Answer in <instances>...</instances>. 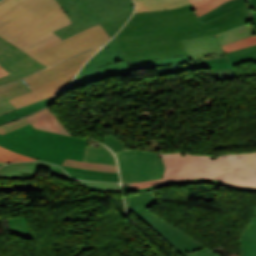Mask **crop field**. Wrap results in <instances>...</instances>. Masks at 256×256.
Segmentation results:
<instances>
[{
	"label": "crop field",
	"instance_id": "obj_1",
	"mask_svg": "<svg viewBox=\"0 0 256 256\" xmlns=\"http://www.w3.org/2000/svg\"><path fill=\"white\" fill-rule=\"evenodd\" d=\"M194 10L189 5L134 13L114 37L127 63L185 55L187 53L181 39L218 34L249 23L247 7L229 12L206 24L199 21Z\"/></svg>",
	"mask_w": 256,
	"mask_h": 256
},
{
	"label": "crop field",
	"instance_id": "obj_2",
	"mask_svg": "<svg viewBox=\"0 0 256 256\" xmlns=\"http://www.w3.org/2000/svg\"><path fill=\"white\" fill-rule=\"evenodd\" d=\"M167 166L162 179L131 183L132 188L188 178H211L235 185L256 187V152L217 156L190 155L186 152L158 154Z\"/></svg>",
	"mask_w": 256,
	"mask_h": 256
},
{
	"label": "crop field",
	"instance_id": "obj_3",
	"mask_svg": "<svg viewBox=\"0 0 256 256\" xmlns=\"http://www.w3.org/2000/svg\"><path fill=\"white\" fill-rule=\"evenodd\" d=\"M68 23L70 20L56 0L0 2V35L16 47Z\"/></svg>",
	"mask_w": 256,
	"mask_h": 256
},
{
	"label": "crop field",
	"instance_id": "obj_4",
	"mask_svg": "<svg viewBox=\"0 0 256 256\" xmlns=\"http://www.w3.org/2000/svg\"><path fill=\"white\" fill-rule=\"evenodd\" d=\"M86 140L34 128L31 124L0 134V145L18 153L61 165L66 157L83 160ZM64 169L88 174L118 176V173L82 170L61 165Z\"/></svg>",
	"mask_w": 256,
	"mask_h": 256
},
{
	"label": "crop field",
	"instance_id": "obj_5",
	"mask_svg": "<svg viewBox=\"0 0 256 256\" xmlns=\"http://www.w3.org/2000/svg\"><path fill=\"white\" fill-rule=\"evenodd\" d=\"M155 203L156 198L154 190L125 198L127 212L132 211L180 254L193 252L204 247L145 209Z\"/></svg>",
	"mask_w": 256,
	"mask_h": 256
},
{
	"label": "crop field",
	"instance_id": "obj_6",
	"mask_svg": "<svg viewBox=\"0 0 256 256\" xmlns=\"http://www.w3.org/2000/svg\"><path fill=\"white\" fill-rule=\"evenodd\" d=\"M109 39V36L98 24L32 56L49 67L86 50L100 47Z\"/></svg>",
	"mask_w": 256,
	"mask_h": 256
},
{
	"label": "crop field",
	"instance_id": "obj_7",
	"mask_svg": "<svg viewBox=\"0 0 256 256\" xmlns=\"http://www.w3.org/2000/svg\"><path fill=\"white\" fill-rule=\"evenodd\" d=\"M122 183L158 179L166 168L155 152L124 149L115 152Z\"/></svg>",
	"mask_w": 256,
	"mask_h": 256
},
{
	"label": "crop field",
	"instance_id": "obj_8",
	"mask_svg": "<svg viewBox=\"0 0 256 256\" xmlns=\"http://www.w3.org/2000/svg\"><path fill=\"white\" fill-rule=\"evenodd\" d=\"M255 34L256 31L250 24L217 36L187 40L183 41V43L191 58V62L194 63L207 59L226 57L221 45Z\"/></svg>",
	"mask_w": 256,
	"mask_h": 256
},
{
	"label": "crop field",
	"instance_id": "obj_9",
	"mask_svg": "<svg viewBox=\"0 0 256 256\" xmlns=\"http://www.w3.org/2000/svg\"><path fill=\"white\" fill-rule=\"evenodd\" d=\"M0 65L10 74L0 78V85L12 82L46 68L0 36Z\"/></svg>",
	"mask_w": 256,
	"mask_h": 256
},
{
	"label": "crop field",
	"instance_id": "obj_10",
	"mask_svg": "<svg viewBox=\"0 0 256 256\" xmlns=\"http://www.w3.org/2000/svg\"><path fill=\"white\" fill-rule=\"evenodd\" d=\"M196 69H210L214 81L238 78L234 67L227 58L202 61L194 64L156 68L157 76Z\"/></svg>",
	"mask_w": 256,
	"mask_h": 256
},
{
	"label": "crop field",
	"instance_id": "obj_11",
	"mask_svg": "<svg viewBox=\"0 0 256 256\" xmlns=\"http://www.w3.org/2000/svg\"><path fill=\"white\" fill-rule=\"evenodd\" d=\"M62 9L68 15L72 23L54 31L62 40L81 31L98 24V21L86 15L77 0H67L60 3Z\"/></svg>",
	"mask_w": 256,
	"mask_h": 256
},
{
	"label": "crop field",
	"instance_id": "obj_12",
	"mask_svg": "<svg viewBox=\"0 0 256 256\" xmlns=\"http://www.w3.org/2000/svg\"><path fill=\"white\" fill-rule=\"evenodd\" d=\"M86 14L102 22L130 7L132 0H78Z\"/></svg>",
	"mask_w": 256,
	"mask_h": 256
},
{
	"label": "crop field",
	"instance_id": "obj_13",
	"mask_svg": "<svg viewBox=\"0 0 256 256\" xmlns=\"http://www.w3.org/2000/svg\"><path fill=\"white\" fill-rule=\"evenodd\" d=\"M73 78V77H72ZM72 78L0 103V114L46 99L64 91Z\"/></svg>",
	"mask_w": 256,
	"mask_h": 256
},
{
	"label": "crop field",
	"instance_id": "obj_14",
	"mask_svg": "<svg viewBox=\"0 0 256 256\" xmlns=\"http://www.w3.org/2000/svg\"><path fill=\"white\" fill-rule=\"evenodd\" d=\"M83 64L27 87L21 80L0 87V102L76 75Z\"/></svg>",
	"mask_w": 256,
	"mask_h": 256
},
{
	"label": "crop field",
	"instance_id": "obj_15",
	"mask_svg": "<svg viewBox=\"0 0 256 256\" xmlns=\"http://www.w3.org/2000/svg\"><path fill=\"white\" fill-rule=\"evenodd\" d=\"M130 72L131 71L128 70V66L125 61L107 67L89 70L78 74L67 90L78 88L85 84L96 82L112 75H124Z\"/></svg>",
	"mask_w": 256,
	"mask_h": 256
},
{
	"label": "crop field",
	"instance_id": "obj_16",
	"mask_svg": "<svg viewBox=\"0 0 256 256\" xmlns=\"http://www.w3.org/2000/svg\"><path fill=\"white\" fill-rule=\"evenodd\" d=\"M38 166L50 169L52 170L51 171L52 173L60 177L73 180L59 166H56L50 163H45V162H25V163L8 164L0 169V178H20L22 172L35 174Z\"/></svg>",
	"mask_w": 256,
	"mask_h": 256
},
{
	"label": "crop field",
	"instance_id": "obj_17",
	"mask_svg": "<svg viewBox=\"0 0 256 256\" xmlns=\"http://www.w3.org/2000/svg\"><path fill=\"white\" fill-rule=\"evenodd\" d=\"M97 50L98 49L89 51V52L84 53L80 56H77V57L72 58L70 60L64 61V62L59 63L57 65H54V66H52L48 69H45V70H43L39 73H36V74L31 75L29 77H26V78L22 79V81L27 86H29L33 83H36V82L40 81V80H43L45 78H48L50 76H53L55 74H58L60 72L65 71V70H68V69H70L74 66H77V65L81 64V63H85ZM40 75H42V76H40Z\"/></svg>",
	"mask_w": 256,
	"mask_h": 256
},
{
	"label": "crop field",
	"instance_id": "obj_18",
	"mask_svg": "<svg viewBox=\"0 0 256 256\" xmlns=\"http://www.w3.org/2000/svg\"><path fill=\"white\" fill-rule=\"evenodd\" d=\"M27 119L36 128L72 136L69 131L63 126V124L58 120V118L48 108H45L42 111L27 116Z\"/></svg>",
	"mask_w": 256,
	"mask_h": 256
},
{
	"label": "crop field",
	"instance_id": "obj_19",
	"mask_svg": "<svg viewBox=\"0 0 256 256\" xmlns=\"http://www.w3.org/2000/svg\"><path fill=\"white\" fill-rule=\"evenodd\" d=\"M123 57L120 55L113 39L104 46L98 53H96L81 70L86 71L93 68H98L106 65H110L116 62L123 61ZM83 73V72H82ZM80 74V73H79Z\"/></svg>",
	"mask_w": 256,
	"mask_h": 256
},
{
	"label": "crop field",
	"instance_id": "obj_20",
	"mask_svg": "<svg viewBox=\"0 0 256 256\" xmlns=\"http://www.w3.org/2000/svg\"><path fill=\"white\" fill-rule=\"evenodd\" d=\"M61 94L53 96V97L48 98V99L43 100V101L36 102L34 104H31V105H28V106H25V107H22L20 109L13 110V111L8 112L6 114L0 115V124L8 122V121L13 120V119L25 117V116H27V115H29V114H31V113L39 110V109H42L46 106L54 104L60 98Z\"/></svg>",
	"mask_w": 256,
	"mask_h": 256
},
{
	"label": "crop field",
	"instance_id": "obj_21",
	"mask_svg": "<svg viewBox=\"0 0 256 256\" xmlns=\"http://www.w3.org/2000/svg\"><path fill=\"white\" fill-rule=\"evenodd\" d=\"M135 3V12L169 9L190 4L189 0H135Z\"/></svg>",
	"mask_w": 256,
	"mask_h": 256
},
{
	"label": "crop field",
	"instance_id": "obj_22",
	"mask_svg": "<svg viewBox=\"0 0 256 256\" xmlns=\"http://www.w3.org/2000/svg\"><path fill=\"white\" fill-rule=\"evenodd\" d=\"M200 182H209V183L221 185L223 187L234 189V190L256 192V188L240 187V186H235V185H231V184H227V183H223V182H219V181H215V180H211V179H188V180H181V181H173V182H167L164 184L148 187L146 189H131V186L129 184V186L123 187V191L138 190L140 192H144V191L155 189L160 186H165V185H170V184L181 185V184H186V183H200Z\"/></svg>",
	"mask_w": 256,
	"mask_h": 256
},
{
	"label": "crop field",
	"instance_id": "obj_23",
	"mask_svg": "<svg viewBox=\"0 0 256 256\" xmlns=\"http://www.w3.org/2000/svg\"><path fill=\"white\" fill-rule=\"evenodd\" d=\"M83 161L116 165L114 155L103 145L97 148L86 147Z\"/></svg>",
	"mask_w": 256,
	"mask_h": 256
},
{
	"label": "crop field",
	"instance_id": "obj_24",
	"mask_svg": "<svg viewBox=\"0 0 256 256\" xmlns=\"http://www.w3.org/2000/svg\"><path fill=\"white\" fill-rule=\"evenodd\" d=\"M61 41L53 32L18 47L20 50L32 55L57 42Z\"/></svg>",
	"mask_w": 256,
	"mask_h": 256
},
{
	"label": "crop field",
	"instance_id": "obj_25",
	"mask_svg": "<svg viewBox=\"0 0 256 256\" xmlns=\"http://www.w3.org/2000/svg\"><path fill=\"white\" fill-rule=\"evenodd\" d=\"M186 63H190L188 55L176 57V58L160 59V60L130 64L129 69L136 70V69L155 68V67H161V66L178 65V64H186Z\"/></svg>",
	"mask_w": 256,
	"mask_h": 256
},
{
	"label": "crop field",
	"instance_id": "obj_26",
	"mask_svg": "<svg viewBox=\"0 0 256 256\" xmlns=\"http://www.w3.org/2000/svg\"><path fill=\"white\" fill-rule=\"evenodd\" d=\"M244 6H246L245 0H230V1H227L223 4H221L219 7L208 12L207 14L200 17L199 19H200V21L205 23V22L210 21L216 17H219L229 11H232L234 9L244 7Z\"/></svg>",
	"mask_w": 256,
	"mask_h": 256
},
{
	"label": "crop field",
	"instance_id": "obj_27",
	"mask_svg": "<svg viewBox=\"0 0 256 256\" xmlns=\"http://www.w3.org/2000/svg\"><path fill=\"white\" fill-rule=\"evenodd\" d=\"M232 65L253 61L256 63V45L226 54Z\"/></svg>",
	"mask_w": 256,
	"mask_h": 256
},
{
	"label": "crop field",
	"instance_id": "obj_28",
	"mask_svg": "<svg viewBox=\"0 0 256 256\" xmlns=\"http://www.w3.org/2000/svg\"><path fill=\"white\" fill-rule=\"evenodd\" d=\"M134 7L115 16L112 17L102 23L101 26L107 32V34L111 37L115 35V33L119 30V28L124 24V22L130 17Z\"/></svg>",
	"mask_w": 256,
	"mask_h": 256
},
{
	"label": "crop field",
	"instance_id": "obj_29",
	"mask_svg": "<svg viewBox=\"0 0 256 256\" xmlns=\"http://www.w3.org/2000/svg\"><path fill=\"white\" fill-rule=\"evenodd\" d=\"M8 221L11 234H16L24 239H33L26 217L8 219Z\"/></svg>",
	"mask_w": 256,
	"mask_h": 256
},
{
	"label": "crop field",
	"instance_id": "obj_30",
	"mask_svg": "<svg viewBox=\"0 0 256 256\" xmlns=\"http://www.w3.org/2000/svg\"><path fill=\"white\" fill-rule=\"evenodd\" d=\"M63 165H68V166H72V167H76V168H83V169L118 172L117 166H114V165L86 163V162H80V161H76V160H72V159H68V158H66V160L63 162Z\"/></svg>",
	"mask_w": 256,
	"mask_h": 256
},
{
	"label": "crop field",
	"instance_id": "obj_31",
	"mask_svg": "<svg viewBox=\"0 0 256 256\" xmlns=\"http://www.w3.org/2000/svg\"><path fill=\"white\" fill-rule=\"evenodd\" d=\"M194 8L196 9L194 12L197 17L204 15L208 11L216 8L221 3L227 0H190Z\"/></svg>",
	"mask_w": 256,
	"mask_h": 256
},
{
	"label": "crop field",
	"instance_id": "obj_32",
	"mask_svg": "<svg viewBox=\"0 0 256 256\" xmlns=\"http://www.w3.org/2000/svg\"><path fill=\"white\" fill-rule=\"evenodd\" d=\"M36 160L0 147V162L9 163L16 161Z\"/></svg>",
	"mask_w": 256,
	"mask_h": 256
},
{
	"label": "crop field",
	"instance_id": "obj_33",
	"mask_svg": "<svg viewBox=\"0 0 256 256\" xmlns=\"http://www.w3.org/2000/svg\"><path fill=\"white\" fill-rule=\"evenodd\" d=\"M256 44V35L252 37H247L238 41H235L233 43L227 44L223 47V50L225 53L230 52L235 49H242L251 45Z\"/></svg>",
	"mask_w": 256,
	"mask_h": 256
},
{
	"label": "crop field",
	"instance_id": "obj_34",
	"mask_svg": "<svg viewBox=\"0 0 256 256\" xmlns=\"http://www.w3.org/2000/svg\"><path fill=\"white\" fill-rule=\"evenodd\" d=\"M70 176L78 178V179H85V180H96V181H106V182H119V177H112V176H102V175H88V174H81L67 171Z\"/></svg>",
	"mask_w": 256,
	"mask_h": 256
},
{
	"label": "crop field",
	"instance_id": "obj_35",
	"mask_svg": "<svg viewBox=\"0 0 256 256\" xmlns=\"http://www.w3.org/2000/svg\"><path fill=\"white\" fill-rule=\"evenodd\" d=\"M103 144L110 147L113 152L127 148L115 134L109 135L104 138Z\"/></svg>",
	"mask_w": 256,
	"mask_h": 256
},
{
	"label": "crop field",
	"instance_id": "obj_36",
	"mask_svg": "<svg viewBox=\"0 0 256 256\" xmlns=\"http://www.w3.org/2000/svg\"><path fill=\"white\" fill-rule=\"evenodd\" d=\"M242 256H256V241L240 240Z\"/></svg>",
	"mask_w": 256,
	"mask_h": 256
},
{
	"label": "crop field",
	"instance_id": "obj_37",
	"mask_svg": "<svg viewBox=\"0 0 256 256\" xmlns=\"http://www.w3.org/2000/svg\"><path fill=\"white\" fill-rule=\"evenodd\" d=\"M239 239L256 240V216H253L249 226L244 230Z\"/></svg>",
	"mask_w": 256,
	"mask_h": 256
},
{
	"label": "crop field",
	"instance_id": "obj_38",
	"mask_svg": "<svg viewBox=\"0 0 256 256\" xmlns=\"http://www.w3.org/2000/svg\"><path fill=\"white\" fill-rule=\"evenodd\" d=\"M29 124V121L25 118L18 119L12 122H9L3 126H0V133L4 134L8 131H11L15 128L21 127L23 125Z\"/></svg>",
	"mask_w": 256,
	"mask_h": 256
},
{
	"label": "crop field",
	"instance_id": "obj_39",
	"mask_svg": "<svg viewBox=\"0 0 256 256\" xmlns=\"http://www.w3.org/2000/svg\"><path fill=\"white\" fill-rule=\"evenodd\" d=\"M182 256H218V255L204 247V248L199 249L193 253L185 254Z\"/></svg>",
	"mask_w": 256,
	"mask_h": 256
},
{
	"label": "crop field",
	"instance_id": "obj_40",
	"mask_svg": "<svg viewBox=\"0 0 256 256\" xmlns=\"http://www.w3.org/2000/svg\"><path fill=\"white\" fill-rule=\"evenodd\" d=\"M6 74H8V72L5 71V70L0 66V77L4 76V75H6Z\"/></svg>",
	"mask_w": 256,
	"mask_h": 256
},
{
	"label": "crop field",
	"instance_id": "obj_41",
	"mask_svg": "<svg viewBox=\"0 0 256 256\" xmlns=\"http://www.w3.org/2000/svg\"><path fill=\"white\" fill-rule=\"evenodd\" d=\"M250 4L256 8V0H249Z\"/></svg>",
	"mask_w": 256,
	"mask_h": 256
},
{
	"label": "crop field",
	"instance_id": "obj_42",
	"mask_svg": "<svg viewBox=\"0 0 256 256\" xmlns=\"http://www.w3.org/2000/svg\"><path fill=\"white\" fill-rule=\"evenodd\" d=\"M253 16H254V23H255V27H256V12L253 11Z\"/></svg>",
	"mask_w": 256,
	"mask_h": 256
},
{
	"label": "crop field",
	"instance_id": "obj_43",
	"mask_svg": "<svg viewBox=\"0 0 256 256\" xmlns=\"http://www.w3.org/2000/svg\"><path fill=\"white\" fill-rule=\"evenodd\" d=\"M62 1H65V0H57L58 3L62 2Z\"/></svg>",
	"mask_w": 256,
	"mask_h": 256
},
{
	"label": "crop field",
	"instance_id": "obj_44",
	"mask_svg": "<svg viewBox=\"0 0 256 256\" xmlns=\"http://www.w3.org/2000/svg\"><path fill=\"white\" fill-rule=\"evenodd\" d=\"M254 215H256V209H255V211H254Z\"/></svg>",
	"mask_w": 256,
	"mask_h": 256
},
{
	"label": "crop field",
	"instance_id": "obj_45",
	"mask_svg": "<svg viewBox=\"0 0 256 256\" xmlns=\"http://www.w3.org/2000/svg\"><path fill=\"white\" fill-rule=\"evenodd\" d=\"M4 164H0V167L3 166Z\"/></svg>",
	"mask_w": 256,
	"mask_h": 256
}]
</instances>
